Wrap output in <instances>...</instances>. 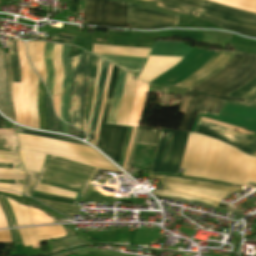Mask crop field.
<instances>
[{
	"label": "crop field",
	"mask_w": 256,
	"mask_h": 256,
	"mask_svg": "<svg viewBox=\"0 0 256 256\" xmlns=\"http://www.w3.org/2000/svg\"><path fill=\"white\" fill-rule=\"evenodd\" d=\"M181 167L187 176L238 185L256 183V158L199 134L189 133Z\"/></svg>",
	"instance_id": "1"
},
{
	"label": "crop field",
	"mask_w": 256,
	"mask_h": 256,
	"mask_svg": "<svg viewBox=\"0 0 256 256\" xmlns=\"http://www.w3.org/2000/svg\"><path fill=\"white\" fill-rule=\"evenodd\" d=\"M17 135L19 137L20 155L25 171L39 173L46 154L56 155L92 167L119 171L97 151L89 147L45 137Z\"/></svg>",
	"instance_id": "2"
},
{
	"label": "crop field",
	"mask_w": 256,
	"mask_h": 256,
	"mask_svg": "<svg viewBox=\"0 0 256 256\" xmlns=\"http://www.w3.org/2000/svg\"><path fill=\"white\" fill-rule=\"evenodd\" d=\"M256 77V55L237 52L230 63L222 70L189 89V91L204 93L225 99L249 102L225 96Z\"/></svg>",
	"instance_id": "3"
},
{
	"label": "crop field",
	"mask_w": 256,
	"mask_h": 256,
	"mask_svg": "<svg viewBox=\"0 0 256 256\" xmlns=\"http://www.w3.org/2000/svg\"><path fill=\"white\" fill-rule=\"evenodd\" d=\"M149 178L160 179L164 187L163 190H154L153 194L180 198L213 207H217L219 201L226 195L239 190L211 182L155 174H150Z\"/></svg>",
	"instance_id": "4"
},
{
	"label": "crop field",
	"mask_w": 256,
	"mask_h": 256,
	"mask_svg": "<svg viewBox=\"0 0 256 256\" xmlns=\"http://www.w3.org/2000/svg\"><path fill=\"white\" fill-rule=\"evenodd\" d=\"M96 171V168L47 155L38 182L83 194Z\"/></svg>",
	"instance_id": "5"
},
{
	"label": "crop field",
	"mask_w": 256,
	"mask_h": 256,
	"mask_svg": "<svg viewBox=\"0 0 256 256\" xmlns=\"http://www.w3.org/2000/svg\"><path fill=\"white\" fill-rule=\"evenodd\" d=\"M188 133L160 130L150 172L176 174L182 161Z\"/></svg>",
	"instance_id": "6"
},
{
	"label": "crop field",
	"mask_w": 256,
	"mask_h": 256,
	"mask_svg": "<svg viewBox=\"0 0 256 256\" xmlns=\"http://www.w3.org/2000/svg\"><path fill=\"white\" fill-rule=\"evenodd\" d=\"M91 54H83L70 58L73 65V82L70 89L68 105V123L78 129L81 128L84 96L89 74Z\"/></svg>",
	"instance_id": "7"
},
{
	"label": "crop field",
	"mask_w": 256,
	"mask_h": 256,
	"mask_svg": "<svg viewBox=\"0 0 256 256\" xmlns=\"http://www.w3.org/2000/svg\"><path fill=\"white\" fill-rule=\"evenodd\" d=\"M118 71V68L113 67L97 145V147H99L104 153H106L111 159H113L117 163L119 162L128 127L105 124V122L109 113Z\"/></svg>",
	"instance_id": "8"
},
{
	"label": "crop field",
	"mask_w": 256,
	"mask_h": 256,
	"mask_svg": "<svg viewBox=\"0 0 256 256\" xmlns=\"http://www.w3.org/2000/svg\"><path fill=\"white\" fill-rule=\"evenodd\" d=\"M127 3L86 0L83 24L125 28Z\"/></svg>",
	"instance_id": "9"
},
{
	"label": "crop field",
	"mask_w": 256,
	"mask_h": 256,
	"mask_svg": "<svg viewBox=\"0 0 256 256\" xmlns=\"http://www.w3.org/2000/svg\"><path fill=\"white\" fill-rule=\"evenodd\" d=\"M223 103L224 100L184 91L179 111L185 115L178 130L190 132L199 112L218 115Z\"/></svg>",
	"instance_id": "10"
},
{
	"label": "crop field",
	"mask_w": 256,
	"mask_h": 256,
	"mask_svg": "<svg viewBox=\"0 0 256 256\" xmlns=\"http://www.w3.org/2000/svg\"><path fill=\"white\" fill-rule=\"evenodd\" d=\"M195 133L216 138L227 143L248 155L256 156V139L235 132L232 129L221 127L204 121H199Z\"/></svg>",
	"instance_id": "11"
},
{
	"label": "crop field",
	"mask_w": 256,
	"mask_h": 256,
	"mask_svg": "<svg viewBox=\"0 0 256 256\" xmlns=\"http://www.w3.org/2000/svg\"><path fill=\"white\" fill-rule=\"evenodd\" d=\"M178 17L141 10L135 5L128 6L127 24L134 29H159L177 25Z\"/></svg>",
	"instance_id": "12"
},
{
	"label": "crop field",
	"mask_w": 256,
	"mask_h": 256,
	"mask_svg": "<svg viewBox=\"0 0 256 256\" xmlns=\"http://www.w3.org/2000/svg\"><path fill=\"white\" fill-rule=\"evenodd\" d=\"M182 57L150 56L138 79L148 83L164 71L172 68Z\"/></svg>",
	"instance_id": "13"
},
{
	"label": "crop field",
	"mask_w": 256,
	"mask_h": 256,
	"mask_svg": "<svg viewBox=\"0 0 256 256\" xmlns=\"http://www.w3.org/2000/svg\"><path fill=\"white\" fill-rule=\"evenodd\" d=\"M154 1L157 2V0H154ZM177 1L185 2V3L195 5V6H198V7H201V8H205V9H208V10H211V11H214V12H218V13H221V14H224V15H228V16H231V17H234V18L256 22V14L255 13H250V12L237 10V9H234V8L222 6V5L207 2V1H204V0H177Z\"/></svg>",
	"instance_id": "14"
},
{
	"label": "crop field",
	"mask_w": 256,
	"mask_h": 256,
	"mask_svg": "<svg viewBox=\"0 0 256 256\" xmlns=\"http://www.w3.org/2000/svg\"><path fill=\"white\" fill-rule=\"evenodd\" d=\"M70 46L63 45L61 51V61L64 69L63 76V87L61 95V119L67 121V105H68V96L70 83L72 81V66L68 57Z\"/></svg>",
	"instance_id": "15"
},
{
	"label": "crop field",
	"mask_w": 256,
	"mask_h": 256,
	"mask_svg": "<svg viewBox=\"0 0 256 256\" xmlns=\"http://www.w3.org/2000/svg\"><path fill=\"white\" fill-rule=\"evenodd\" d=\"M160 129L154 128H145V127H137L135 137L132 144L131 154L128 159L127 167L125 171H129L131 159L133 157L136 144H149V145H156L157 138Z\"/></svg>",
	"instance_id": "16"
},
{
	"label": "crop field",
	"mask_w": 256,
	"mask_h": 256,
	"mask_svg": "<svg viewBox=\"0 0 256 256\" xmlns=\"http://www.w3.org/2000/svg\"><path fill=\"white\" fill-rule=\"evenodd\" d=\"M108 65H109V63H107L105 61L102 62L101 74H100V79H99V84H98V89H97V94H96V100H95L94 109H93L90 133H89V137H88V139L90 140V143H92V144L94 142V135H95L96 125H97V121H98L100 103H101V98H102V93H103V88H104V83H105V79H106Z\"/></svg>",
	"instance_id": "17"
},
{
	"label": "crop field",
	"mask_w": 256,
	"mask_h": 256,
	"mask_svg": "<svg viewBox=\"0 0 256 256\" xmlns=\"http://www.w3.org/2000/svg\"><path fill=\"white\" fill-rule=\"evenodd\" d=\"M191 49L182 42H157L150 55L185 56Z\"/></svg>",
	"instance_id": "18"
},
{
	"label": "crop field",
	"mask_w": 256,
	"mask_h": 256,
	"mask_svg": "<svg viewBox=\"0 0 256 256\" xmlns=\"http://www.w3.org/2000/svg\"><path fill=\"white\" fill-rule=\"evenodd\" d=\"M151 49L93 45L92 52L147 58Z\"/></svg>",
	"instance_id": "19"
},
{
	"label": "crop field",
	"mask_w": 256,
	"mask_h": 256,
	"mask_svg": "<svg viewBox=\"0 0 256 256\" xmlns=\"http://www.w3.org/2000/svg\"><path fill=\"white\" fill-rule=\"evenodd\" d=\"M147 91H148V85H145L140 81H138L135 104H134V108H133V112H132V116L129 124L131 126L140 125V121L142 118L144 105L146 101Z\"/></svg>",
	"instance_id": "20"
},
{
	"label": "crop field",
	"mask_w": 256,
	"mask_h": 256,
	"mask_svg": "<svg viewBox=\"0 0 256 256\" xmlns=\"http://www.w3.org/2000/svg\"><path fill=\"white\" fill-rule=\"evenodd\" d=\"M109 62H112L126 70L140 72L142 66L144 65L146 59L142 58H132V57H122V56H112V55H99L95 54Z\"/></svg>",
	"instance_id": "21"
},
{
	"label": "crop field",
	"mask_w": 256,
	"mask_h": 256,
	"mask_svg": "<svg viewBox=\"0 0 256 256\" xmlns=\"http://www.w3.org/2000/svg\"><path fill=\"white\" fill-rule=\"evenodd\" d=\"M27 61H28V70H29V76H30L29 102H30L32 122H33L32 127L39 129L38 112H37V108H36V94H37V86H38L39 77L32 70L28 59H27Z\"/></svg>",
	"instance_id": "22"
},
{
	"label": "crop field",
	"mask_w": 256,
	"mask_h": 256,
	"mask_svg": "<svg viewBox=\"0 0 256 256\" xmlns=\"http://www.w3.org/2000/svg\"><path fill=\"white\" fill-rule=\"evenodd\" d=\"M126 72L120 70L107 123L115 124L124 88Z\"/></svg>",
	"instance_id": "23"
},
{
	"label": "crop field",
	"mask_w": 256,
	"mask_h": 256,
	"mask_svg": "<svg viewBox=\"0 0 256 256\" xmlns=\"http://www.w3.org/2000/svg\"><path fill=\"white\" fill-rule=\"evenodd\" d=\"M98 61H99V59L96 58L95 56H93L92 66H91V74H90V82H89V88H88V92H87L84 119H83L82 131H84V132L87 131L88 117H89L90 105H91V100H92V95H93L95 77H96V73H97Z\"/></svg>",
	"instance_id": "24"
},
{
	"label": "crop field",
	"mask_w": 256,
	"mask_h": 256,
	"mask_svg": "<svg viewBox=\"0 0 256 256\" xmlns=\"http://www.w3.org/2000/svg\"><path fill=\"white\" fill-rule=\"evenodd\" d=\"M200 18L205 19L207 21L219 23V24H221L222 27H224L225 29L230 30L232 32H236V33H240V34H243L246 36L256 38V28L241 26L238 24L222 21V20L210 17V16L203 15V14L200 15Z\"/></svg>",
	"instance_id": "25"
},
{
	"label": "crop field",
	"mask_w": 256,
	"mask_h": 256,
	"mask_svg": "<svg viewBox=\"0 0 256 256\" xmlns=\"http://www.w3.org/2000/svg\"><path fill=\"white\" fill-rule=\"evenodd\" d=\"M157 6L182 12V13L189 14L196 17H198V15L201 12V8H197L188 4H184V3L172 1V0H159Z\"/></svg>",
	"instance_id": "26"
},
{
	"label": "crop field",
	"mask_w": 256,
	"mask_h": 256,
	"mask_svg": "<svg viewBox=\"0 0 256 256\" xmlns=\"http://www.w3.org/2000/svg\"><path fill=\"white\" fill-rule=\"evenodd\" d=\"M61 47L62 45L55 44L53 51V65L55 67V85L53 96L60 94L62 85L63 69L60 61Z\"/></svg>",
	"instance_id": "27"
},
{
	"label": "crop field",
	"mask_w": 256,
	"mask_h": 256,
	"mask_svg": "<svg viewBox=\"0 0 256 256\" xmlns=\"http://www.w3.org/2000/svg\"><path fill=\"white\" fill-rule=\"evenodd\" d=\"M54 44L46 43L45 45V62L47 68V82L46 87L52 97L53 92V84H54V67L52 65V51H53Z\"/></svg>",
	"instance_id": "28"
},
{
	"label": "crop field",
	"mask_w": 256,
	"mask_h": 256,
	"mask_svg": "<svg viewBox=\"0 0 256 256\" xmlns=\"http://www.w3.org/2000/svg\"><path fill=\"white\" fill-rule=\"evenodd\" d=\"M38 237V240H48L60 236L66 235L62 226H43L34 228Z\"/></svg>",
	"instance_id": "29"
},
{
	"label": "crop field",
	"mask_w": 256,
	"mask_h": 256,
	"mask_svg": "<svg viewBox=\"0 0 256 256\" xmlns=\"http://www.w3.org/2000/svg\"><path fill=\"white\" fill-rule=\"evenodd\" d=\"M45 110L48 130L61 132V121L56 117L52 110V103L47 92H45Z\"/></svg>",
	"instance_id": "30"
},
{
	"label": "crop field",
	"mask_w": 256,
	"mask_h": 256,
	"mask_svg": "<svg viewBox=\"0 0 256 256\" xmlns=\"http://www.w3.org/2000/svg\"><path fill=\"white\" fill-rule=\"evenodd\" d=\"M228 96L238 97L247 100L256 99V78L249 83L238 88L234 92L228 94Z\"/></svg>",
	"instance_id": "31"
},
{
	"label": "crop field",
	"mask_w": 256,
	"mask_h": 256,
	"mask_svg": "<svg viewBox=\"0 0 256 256\" xmlns=\"http://www.w3.org/2000/svg\"><path fill=\"white\" fill-rule=\"evenodd\" d=\"M227 6H231L237 9L255 12L256 13V1L255 0H208Z\"/></svg>",
	"instance_id": "32"
},
{
	"label": "crop field",
	"mask_w": 256,
	"mask_h": 256,
	"mask_svg": "<svg viewBox=\"0 0 256 256\" xmlns=\"http://www.w3.org/2000/svg\"><path fill=\"white\" fill-rule=\"evenodd\" d=\"M9 53H10V62L11 69L13 74V82H20V64L16 51V40H9Z\"/></svg>",
	"instance_id": "33"
},
{
	"label": "crop field",
	"mask_w": 256,
	"mask_h": 256,
	"mask_svg": "<svg viewBox=\"0 0 256 256\" xmlns=\"http://www.w3.org/2000/svg\"><path fill=\"white\" fill-rule=\"evenodd\" d=\"M44 91L45 88L41 81L39 80L38 94H37V105L40 118V129L46 130L45 122V110H44Z\"/></svg>",
	"instance_id": "34"
},
{
	"label": "crop field",
	"mask_w": 256,
	"mask_h": 256,
	"mask_svg": "<svg viewBox=\"0 0 256 256\" xmlns=\"http://www.w3.org/2000/svg\"><path fill=\"white\" fill-rule=\"evenodd\" d=\"M39 200V199H37ZM42 203L46 204L50 208L66 215L67 217L73 219V214H78V208L76 206H70V205H64V204H58V203H53V202H48V201H43L39 200Z\"/></svg>",
	"instance_id": "35"
},
{
	"label": "crop field",
	"mask_w": 256,
	"mask_h": 256,
	"mask_svg": "<svg viewBox=\"0 0 256 256\" xmlns=\"http://www.w3.org/2000/svg\"><path fill=\"white\" fill-rule=\"evenodd\" d=\"M44 44H45V42L36 41V59H37L38 71H39L40 77L42 78L43 82L45 83L46 68H45L44 57H43Z\"/></svg>",
	"instance_id": "36"
},
{
	"label": "crop field",
	"mask_w": 256,
	"mask_h": 256,
	"mask_svg": "<svg viewBox=\"0 0 256 256\" xmlns=\"http://www.w3.org/2000/svg\"><path fill=\"white\" fill-rule=\"evenodd\" d=\"M15 132L16 133H24V134H30V135H38V136H45V137H50L54 139H59L67 142H72V143H78V144H83L75 139L64 137V136H59V135H54V134H49V133H43V132H36V131H31L27 130L21 127L15 126ZM85 145V144H84Z\"/></svg>",
	"instance_id": "37"
},
{
	"label": "crop field",
	"mask_w": 256,
	"mask_h": 256,
	"mask_svg": "<svg viewBox=\"0 0 256 256\" xmlns=\"http://www.w3.org/2000/svg\"><path fill=\"white\" fill-rule=\"evenodd\" d=\"M136 84H137V80L134 77H132L127 108H126V112H125V116H124L122 125H128V123H129V119L131 116L132 107H133V103H134V98H135Z\"/></svg>",
	"instance_id": "38"
},
{
	"label": "crop field",
	"mask_w": 256,
	"mask_h": 256,
	"mask_svg": "<svg viewBox=\"0 0 256 256\" xmlns=\"http://www.w3.org/2000/svg\"><path fill=\"white\" fill-rule=\"evenodd\" d=\"M35 190L49 193V194H56V195H62V196H67V197H73V198L76 197V193H73V192H70L67 190H63V189H59V188H55V187H51V186H47V185H43V184H39V183H37Z\"/></svg>",
	"instance_id": "39"
},
{
	"label": "crop field",
	"mask_w": 256,
	"mask_h": 256,
	"mask_svg": "<svg viewBox=\"0 0 256 256\" xmlns=\"http://www.w3.org/2000/svg\"><path fill=\"white\" fill-rule=\"evenodd\" d=\"M29 210H30V216H31L33 225L54 222V220H52L44 212H42L38 209L30 207Z\"/></svg>",
	"instance_id": "40"
},
{
	"label": "crop field",
	"mask_w": 256,
	"mask_h": 256,
	"mask_svg": "<svg viewBox=\"0 0 256 256\" xmlns=\"http://www.w3.org/2000/svg\"><path fill=\"white\" fill-rule=\"evenodd\" d=\"M0 150L18 151L16 136H0Z\"/></svg>",
	"instance_id": "41"
},
{
	"label": "crop field",
	"mask_w": 256,
	"mask_h": 256,
	"mask_svg": "<svg viewBox=\"0 0 256 256\" xmlns=\"http://www.w3.org/2000/svg\"><path fill=\"white\" fill-rule=\"evenodd\" d=\"M130 79H131V75L127 74L125 88H124L123 97H122L121 106H120V111H119V115H118V119H117V123H116L119 125H121V123H122L124 111L126 108L127 96H128V92H129V86H130Z\"/></svg>",
	"instance_id": "42"
},
{
	"label": "crop field",
	"mask_w": 256,
	"mask_h": 256,
	"mask_svg": "<svg viewBox=\"0 0 256 256\" xmlns=\"http://www.w3.org/2000/svg\"><path fill=\"white\" fill-rule=\"evenodd\" d=\"M35 198H40L44 200H49V201H54V202H59V203H64V204H70L73 205L74 199L72 198H67V197H60V196H54V195H49V194H44L40 192H34Z\"/></svg>",
	"instance_id": "43"
},
{
	"label": "crop field",
	"mask_w": 256,
	"mask_h": 256,
	"mask_svg": "<svg viewBox=\"0 0 256 256\" xmlns=\"http://www.w3.org/2000/svg\"><path fill=\"white\" fill-rule=\"evenodd\" d=\"M6 62H7V69H8V92H9V100H10V107H11V114L14 121L15 119V111H14V104H13V98H12V75H11V69H10V63H9V54L5 53Z\"/></svg>",
	"instance_id": "44"
},
{
	"label": "crop field",
	"mask_w": 256,
	"mask_h": 256,
	"mask_svg": "<svg viewBox=\"0 0 256 256\" xmlns=\"http://www.w3.org/2000/svg\"><path fill=\"white\" fill-rule=\"evenodd\" d=\"M39 174L36 173H27L26 172V184H25V192L24 194L28 196H32V193L34 191L36 181Z\"/></svg>",
	"instance_id": "45"
},
{
	"label": "crop field",
	"mask_w": 256,
	"mask_h": 256,
	"mask_svg": "<svg viewBox=\"0 0 256 256\" xmlns=\"http://www.w3.org/2000/svg\"><path fill=\"white\" fill-rule=\"evenodd\" d=\"M1 61H2V67H3V83H4V94H5L6 108H7V112H8V118L11 119L9 102H8V93H7V69H6L4 51H1Z\"/></svg>",
	"instance_id": "46"
},
{
	"label": "crop field",
	"mask_w": 256,
	"mask_h": 256,
	"mask_svg": "<svg viewBox=\"0 0 256 256\" xmlns=\"http://www.w3.org/2000/svg\"><path fill=\"white\" fill-rule=\"evenodd\" d=\"M203 14L210 15V16H213V17H216V18H219V19L235 22V23H238V24H241V25H248V26L256 27V23L236 20V19H233L231 17H227V16H224V15H221V14H218V13L208 11V10H203Z\"/></svg>",
	"instance_id": "47"
},
{
	"label": "crop field",
	"mask_w": 256,
	"mask_h": 256,
	"mask_svg": "<svg viewBox=\"0 0 256 256\" xmlns=\"http://www.w3.org/2000/svg\"><path fill=\"white\" fill-rule=\"evenodd\" d=\"M7 199H8V201L10 203V206H11L13 212H14V215L16 217L18 226H25L24 222H23V219H22V215H21L18 203L9 199V198H7Z\"/></svg>",
	"instance_id": "48"
},
{
	"label": "crop field",
	"mask_w": 256,
	"mask_h": 256,
	"mask_svg": "<svg viewBox=\"0 0 256 256\" xmlns=\"http://www.w3.org/2000/svg\"><path fill=\"white\" fill-rule=\"evenodd\" d=\"M112 67H113L112 65L109 66V71H108L107 80H106L105 89H104V94H103L102 103H101V109H100V115H99V121H98V126H97V131H96V137H95V143H94V145H96V141H97V137H98V131H99V126H100V120H101V115H102V111H103L105 95H106V91H107V87H108V83H109V79H110V74H111V69H112Z\"/></svg>",
	"instance_id": "49"
},
{
	"label": "crop field",
	"mask_w": 256,
	"mask_h": 256,
	"mask_svg": "<svg viewBox=\"0 0 256 256\" xmlns=\"http://www.w3.org/2000/svg\"><path fill=\"white\" fill-rule=\"evenodd\" d=\"M34 43L35 42H27V52H28V57H29L30 61L32 62L34 69L38 73L37 66H36V59H35Z\"/></svg>",
	"instance_id": "50"
},
{
	"label": "crop field",
	"mask_w": 256,
	"mask_h": 256,
	"mask_svg": "<svg viewBox=\"0 0 256 256\" xmlns=\"http://www.w3.org/2000/svg\"><path fill=\"white\" fill-rule=\"evenodd\" d=\"M0 111L7 116L4 102V94H3V84H2V68L0 62Z\"/></svg>",
	"instance_id": "51"
},
{
	"label": "crop field",
	"mask_w": 256,
	"mask_h": 256,
	"mask_svg": "<svg viewBox=\"0 0 256 256\" xmlns=\"http://www.w3.org/2000/svg\"><path fill=\"white\" fill-rule=\"evenodd\" d=\"M0 197H1L3 203H4L5 207H6V210H7V213H8V215H9V217H10L12 226H13V227L17 226V225H16V221H15V217H14V215H13V212H12V210H11V208H10V206H9V204H8V202H7V200H6V198H5L4 196H1V195H0Z\"/></svg>",
	"instance_id": "52"
},
{
	"label": "crop field",
	"mask_w": 256,
	"mask_h": 256,
	"mask_svg": "<svg viewBox=\"0 0 256 256\" xmlns=\"http://www.w3.org/2000/svg\"><path fill=\"white\" fill-rule=\"evenodd\" d=\"M33 248L40 247L33 228H26Z\"/></svg>",
	"instance_id": "53"
},
{
	"label": "crop field",
	"mask_w": 256,
	"mask_h": 256,
	"mask_svg": "<svg viewBox=\"0 0 256 256\" xmlns=\"http://www.w3.org/2000/svg\"><path fill=\"white\" fill-rule=\"evenodd\" d=\"M74 38L54 34L51 41L71 44Z\"/></svg>",
	"instance_id": "54"
},
{
	"label": "crop field",
	"mask_w": 256,
	"mask_h": 256,
	"mask_svg": "<svg viewBox=\"0 0 256 256\" xmlns=\"http://www.w3.org/2000/svg\"><path fill=\"white\" fill-rule=\"evenodd\" d=\"M131 131H132V127L129 126L128 132H127L125 146H124L122 157H121V161H120V164H119L120 167H122V164H123V160H124V156H125V153H126V149H127V146H128L129 140H130V136H131Z\"/></svg>",
	"instance_id": "55"
},
{
	"label": "crop field",
	"mask_w": 256,
	"mask_h": 256,
	"mask_svg": "<svg viewBox=\"0 0 256 256\" xmlns=\"http://www.w3.org/2000/svg\"><path fill=\"white\" fill-rule=\"evenodd\" d=\"M19 205H20V204H19ZM20 208H21V210H22V215H23V217H24L26 226L32 225V224H31V220H30V216H29V213H28V207H27V206L20 205Z\"/></svg>",
	"instance_id": "56"
},
{
	"label": "crop field",
	"mask_w": 256,
	"mask_h": 256,
	"mask_svg": "<svg viewBox=\"0 0 256 256\" xmlns=\"http://www.w3.org/2000/svg\"><path fill=\"white\" fill-rule=\"evenodd\" d=\"M201 120H205V121H209V122H212V123H215V124H219V125H222V126H225V127H228V128L235 129V130H237V131L245 132V133H247V134H253L252 132L245 131V130H242V129H240V128L232 127V126L227 125V124H225V123H221V122L209 120V119H206V118H203V117H201Z\"/></svg>",
	"instance_id": "57"
},
{
	"label": "crop field",
	"mask_w": 256,
	"mask_h": 256,
	"mask_svg": "<svg viewBox=\"0 0 256 256\" xmlns=\"http://www.w3.org/2000/svg\"><path fill=\"white\" fill-rule=\"evenodd\" d=\"M0 188L7 189V190H13L17 192L22 193L23 186L19 185H9V184H0Z\"/></svg>",
	"instance_id": "58"
},
{
	"label": "crop field",
	"mask_w": 256,
	"mask_h": 256,
	"mask_svg": "<svg viewBox=\"0 0 256 256\" xmlns=\"http://www.w3.org/2000/svg\"><path fill=\"white\" fill-rule=\"evenodd\" d=\"M101 62H102V60L100 59V62H99V68H98V74H97V78H96V82H95L94 95H93V100H92V105H91V111H90V118H89L88 132H89V127H90V121H91L92 109H93V104H94V100H95L96 87H97V81H98V77H99V73H100V66H101ZM88 132H87V134H88Z\"/></svg>",
	"instance_id": "59"
},
{
	"label": "crop field",
	"mask_w": 256,
	"mask_h": 256,
	"mask_svg": "<svg viewBox=\"0 0 256 256\" xmlns=\"http://www.w3.org/2000/svg\"><path fill=\"white\" fill-rule=\"evenodd\" d=\"M53 106L58 117H60V95L53 97Z\"/></svg>",
	"instance_id": "60"
},
{
	"label": "crop field",
	"mask_w": 256,
	"mask_h": 256,
	"mask_svg": "<svg viewBox=\"0 0 256 256\" xmlns=\"http://www.w3.org/2000/svg\"><path fill=\"white\" fill-rule=\"evenodd\" d=\"M19 231H20L22 240H23V242H24V246H31V245H30V242H29L28 235H27V233H26V229H25V228H22V229H19Z\"/></svg>",
	"instance_id": "61"
},
{
	"label": "crop field",
	"mask_w": 256,
	"mask_h": 256,
	"mask_svg": "<svg viewBox=\"0 0 256 256\" xmlns=\"http://www.w3.org/2000/svg\"><path fill=\"white\" fill-rule=\"evenodd\" d=\"M0 183H9V184L23 185L24 184V180L0 179Z\"/></svg>",
	"instance_id": "62"
},
{
	"label": "crop field",
	"mask_w": 256,
	"mask_h": 256,
	"mask_svg": "<svg viewBox=\"0 0 256 256\" xmlns=\"http://www.w3.org/2000/svg\"><path fill=\"white\" fill-rule=\"evenodd\" d=\"M0 168H16V169H23L21 164H1Z\"/></svg>",
	"instance_id": "63"
},
{
	"label": "crop field",
	"mask_w": 256,
	"mask_h": 256,
	"mask_svg": "<svg viewBox=\"0 0 256 256\" xmlns=\"http://www.w3.org/2000/svg\"><path fill=\"white\" fill-rule=\"evenodd\" d=\"M134 131H135V127L133 128V132H132L131 140H130L129 147H128V150H127V153H126V158H125V162H124V165H123V169H125V167H126V162H127L128 156H129V152H130V148H131V144H132V139H133V136H134Z\"/></svg>",
	"instance_id": "64"
},
{
	"label": "crop field",
	"mask_w": 256,
	"mask_h": 256,
	"mask_svg": "<svg viewBox=\"0 0 256 256\" xmlns=\"http://www.w3.org/2000/svg\"><path fill=\"white\" fill-rule=\"evenodd\" d=\"M69 134L70 135H74V136H78V137H82L85 138V136L80 135V132L76 129H74L73 127L69 126Z\"/></svg>",
	"instance_id": "65"
},
{
	"label": "crop field",
	"mask_w": 256,
	"mask_h": 256,
	"mask_svg": "<svg viewBox=\"0 0 256 256\" xmlns=\"http://www.w3.org/2000/svg\"><path fill=\"white\" fill-rule=\"evenodd\" d=\"M0 173H23V170L16 169H0ZM24 174V173H23Z\"/></svg>",
	"instance_id": "66"
},
{
	"label": "crop field",
	"mask_w": 256,
	"mask_h": 256,
	"mask_svg": "<svg viewBox=\"0 0 256 256\" xmlns=\"http://www.w3.org/2000/svg\"><path fill=\"white\" fill-rule=\"evenodd\" d=\"M0 135H14L12 129H0Z\"/></svg>",
	"instance_id": "67"
},
{
	"label": "crop field",
	"mask_w": 256,
	"mask_h": 256,
	"mask_svg": "<svg viewBox=\"0 0 256 256\" xmlns=\"http://www.w3.org/2000/svg\"><path fill=\"white\" fill-rule=\"evenodd\" d=\"M0 162L21 163L20 160H13V159H0Z\"/></svg>",
	"instance_id": "68"
},
{
	"label": "crop field",
	"mask_w": 256,
	"mask_h": 256,
	"mask_svg": "<svg viewBox=\"0 0 256 256\" xmlns=\"http://www.w3.org/2000/svg\"><path fill=\"white\" fill-rule=\"evenodd\" d=\"M13 231H14V233H15L16 242H17V243H23L22 240H21V238H20L18 229H15V230H13Z\"/></svg>",
	"instance_id": "69"
},
{
	"label": "crop field",
	"mask_w": 256,
	"mask_h": 256,
	"mask_svg": "<svg viewBox=\"0 0 256 256\" xmlns=\"http://www.w3.org/2000/svg\"><path fill=\"white\" fill-rule=\"evenodd\" d=\"M62 133L68 134V124L62 122Z\"/></svg>",
	"instance_id": "70"
},
{
	"label": "crop field",
	"mask_w": 256,
	"mask_h": 256,
	"mask_svg": "<svg viewBox=\"0 0 256 256\" xmlns=\"http://www.w3.org/2000/svg\"><path fill=\"white\" fill-rule=\"evenodd\" d=\"M0 154L18 155V152L0 151Z\"/></svg>",
	"instance_id": "71"
},
{
	"label": "crop field",
	"mask_w": 256,
	"mask_h": 256,
	"mask_svg": "<svg viewBox=\"0 0 256 256\" xmlns=\"http://www.w3.org/2000/svg\"><path fill=\"white\" fill-rule=\"evenodd\" d=\"M0 158H14V159H19V156L0 155Z\"/></svg>",
	"instance_id": "72"
},
{
	"label": "crop field",
	"mask_w": 256,
	"mask_h": 256,
	"mask_svg": "<svg viewBox=\"0 0 256 256\" xmlns=\"http://www.w3.org/2000/svg\"><path fill=\"white\" fill-rule=\"evenodd\" d=\"M0 176H22V177H24V175H21V174H0Z\"/></svg>",
	"instance_id": "73"
},
{
	"label": "crop field",
	"mask_w": 256,
	"mask_h": 256,
	"mask_svg": "<svg viewBox=\"0 0 256 256\" xmlns=\"http://www.w3.org/2000/svg\"><path fill=\"white\" fill-rule=\"evenodd\" d=\"M0 128H6L3 118L0 116Z\"/></svg>",
	"instance_id": "74"
},
{
	"label": "crop field",
	"mask_w": 256,
	"mask_h": 256,
	"mask_svg": "<svg viewBox=\"0 0 256 256\" xmlns=\"http://www.w3.org/2000/svg\"><path fill=\"white\" fill-rule=\"evenodd\" d=\"M0 178L24 179V178H21V177H0Z\"/></svg>",
	"instance_id": "75"
},
{
	"label": "crop field",
	"mask_w": 256,
	"mask_h": 256,
	"mask_svg": "<svg viewBox=\"0 0 256 256\" xmlns=\"http://www.w3.org/2000/svg\"><path fill=\"white\" fill-rule=\"evenodd\" d=\"M0 191H4V190H0ZM4 192L11 193V194H15V195H18V196H20V197H21V195H20V194H18V193L9 192V191H4Z\"/></svg>",
	"instance_id": "76"
},
{
	"label": "crop field",
	"mask_w": 256,
	"mask_h": 256,
	"mask_svg": "<svg viewBox=\"0 0 256 256\" xmlns=\"http://www.w3.org/2000/svg\"><path fill=\"white\" fill-rule=\"evenodd\" d=\"M148 1H152V0H148Z\"/></svg>",
	"instance_id": "77"
}]
</instances>
